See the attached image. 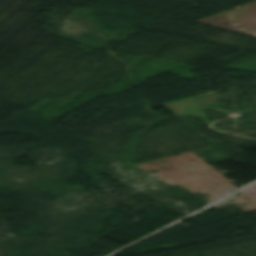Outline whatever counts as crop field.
<instances>
[{"label": "crop field", "instance_id": "8a807250", "mask_svg": "<svg viewBox=\"0 0 256 256\" xmlns=\"http://www.w3.org/2000/svg\"><path fill=\"white\" fill-rule=\"evenodd\" d=\"M255 22L256 2L199 21V23L231 31L238 30Z\"/></svg>", "mask_w": 256, "mask_h": 256}]
</instances>
